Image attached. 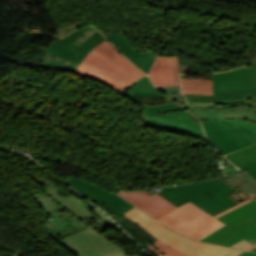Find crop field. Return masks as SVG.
Returning <instances> with one entry per match:
<instances>
[{
	"label": "crop field",
	"mask_w": 256,
	"mask_h": 256,
	"mask_svg": "<svg viewBox=\"0 0 256 256\" xmlns=\"http://www.w3.org/2000/svg\"><path fill=\"white\" fill-rule=\"evenodd\" d=\"M119 195L156 220L193 239L199 240L225 225L190 202L177 208L157 193L151 196L145 191H122Z\"/></svg>",
	"instance_id": "crop-field-1"
},
{
	"label": "crop field",
	"mask_w": 256,
	"mask_h": 256,
	"mask_svg": "<svg viewBox=\"0 0 256 256\" xmlns=\"http://www.w3.org/2000/svg\"><path fill=\"white\" fill-rule=\"evenodd\" d=\"M75 72L94 77L118 91L145 75L107 39L86 56Z\"/></svg>",
	"instance_id": "crop-field-2"
},
{
	"label": "crop field",
	"mask_w": 256,
	"mask_h": 256,
	"mask_svg": "<svg viewBox=\"0 0 256 256\" xmlns=\"http://www.w3.org/2000/svg\"><path fill=\"white\" fill-rule=\"evenodd\" d=\"M231 192L233 189L220 178L157 191L177 207L190 201L213 216L237 204L227 196Z\"/></svg>",
	"instance_id": "crop-field-3"
},
{
	"label": "crop field",
	"mask_w": 256,
	"mask_h": 256,
	"mask_svg": "<svg viewBox=\"0 0 256 256\" xmlns=\"http://www.w3.org/2000/svg\"><path fill=\"white\" fill-rule=\"evenodd\" d=\"M167 245L189 256H236L241 250L191 240L167 228L136 207L123 214Z\"/></svg>",
	"instance_id": "crop-field-4"
},
{
	"label": "crop field",
	"mask_w": 256,
	"mask_h": 256,
	"mask_svg": "<svg viewBox=\"0 0 256 256\" xmlns=\"http://www.w3.org/2000/svg\"><path fill=\"white\" fill-rule=\"evenodd\" d=\"M89 27L76 30L61 41H52L39 66L74 72L85 56L106 39L97 31L80 46L72 45Z\"/></svg>",
	"instance_id": "crop-field-5"
},
{
	"label": "crop field",
	"mask_w": 256,
	"mask_h": 256,
	"mask_svg": "<svg viewBox=\"0 0 256 256\" xmlns=\"http://www.w3.org/2000/svg\"><path fill=\"white\" fill-rule=\"evenodd\" d=\"M58 242L78 256H130L90 227Z\"/></svg>",
	"instance_id": "crop-field-6"
},
{
	"label": "crop field",
	"mask_w": 256,
	"mask_h": 256,
	"mask_svg": "<svg viewBox=\"0 0 256 256\" xmlns=\"http://www.w3.org/2000/svg\"><path fill=\"white\" fill-rule=\"evenodd\" d=\"M187 108L199 119L235 118L245 119L256 123V103H238L230 105H216L211 103H187Z\"/></svg>",
	"instance_id": "crop-field-7"
},
{
	"label": "crop field",
	"mask_w": 256,
	"mask_h": 256,
	"mask_svg": "<svg viewBox=\"0 0 256 256\" xmlns=\"http://www.w3.org/2000/svg\"><path fill=\"white\" fill-rule=\"evenodd\" d=\"M64 181L80 191L87 198L96 202L98 205L103 203L121 216H123V213L134 207L130 205L131 203H127L128 201L126 202L116 194L79 178L71 176ZM123 217L130 220L125 216Z\"/></svg>",
	"instance_id": "crop-field-8"
},
{
	"label": "crop field",
	"mask_w": 256,
	"mask_h": 256,
	"mask_svg": "<svg viewBox=\"0 0 256 256\" xmlns=\"http://www.w3.org/2000/svg\"><path fill=\"white\" fill-rule=\"evenodd\" d=\"M110 40L126 57H130V61L135 64L143 72L148 73L156 55L150 50L146 53H137L124 37L122 32L104 35Z\"/></svg>",
	"instance_id": "crop-field-9"
},
{
	"label": "crop field",
	"mask_w": 256,
	"mask_h": 256,
	"mask_svg": "<svg viewBox=\"0 0 256 256\" xmlns=\"http://www.w3.org/2000/svg\"><path fill=\"white\" fill-rule=\"evenodd\" d=\"M189 101L229 104L237 102H256V88L242 89L230 92L214 93V96L184 94Z\"/></svg>",
	"instance_id": "crop-field-10"
},
{
	"label": "crop field",
	"mask_w": 256,
	"mask_h": 256,
	"mask_svg": "<svg viewBox=\"0 0 256 256\" xmlns=\"http://www.w3.org/2000/svg\"><path fill=\"white\" fill-rule=\"evenodd\" d=\"M214 92L229 91L241 88H248V76L246 67L213 74Z\"/></svg>",
	"instance_id": "crop-field-11"
},
{
	"label": "crop field",
	"mask_w": 256,
	"mask_h": 256,
	"mask_svg": "<svg viewBox=\"0 0 256 256\" xmlns=\"http://www.w3.org/2000/svg\"><path fill=\"white\" fill-rule=\"evenodd\" d=\"M209 141L223 154L241 149V147L213 120L201 121Z\"/></svg>",
	"instance_id": "crop-field-12"
},
{
	"label": "crop field",
	"mask_w": 256,
	"mask_h": 256,
	"mask_svg": "<svg viewBox=\"0 0 256 256\" xmlns=\"http://www.w3.org/2000/svg\"><path fill=\"white\" fill-rule=\"evenodd\" d=\"M149 78L154 84L173 83L171 56H158Z\"/></svg>",
	"instance_id": "crop-field-13"
},
{
	"label": "crop field",
	"mask_w": 256,
	"mask_h": 256,
	"mask_svg": "<svg viewBox=\"0 0 256 256\" xmlns=\"http://www.w3.org/2000/svg\"><path fill=\"white\" fill-rule=\"evenodd\" d=\"M256 225V214L235 224L227 227L225 230L215 234L211 238L207 239L206 242L214 243V244H221L231 238L232 236L253 227Z\"/></svg>",
	"instance_id": "crop-field-14"
},
{
	"label": "crop field",
	"mask_w": 256,
	"mask_h": 256,
	"mask_svg": "<svg viewBox=\"0 0 256 256\" xmlns=\"http://www.w3.org/2000/svg\"><path fill=\"white\" fill-rule=\"evenodd\" d=\"M256 213V201H252L220 218H218V220L224 222L226 225L221 227L220 229L216 230L215 232L209 234L208 236L204 237L203 239H201V241L206 240L207 238L211 237L212 235H214L215 233L219 232L220 230L226 228L227 226L234 224L252 214Z\"/></svg>",
	"instance_id": "crop-field-15"
},
{
	"label": "crop field",
	"mask_w": 256,
	"mask_h": 256,
	"mask_svg": "<svg viewBox=\"0 0 256 256\" xmlns=\"http://www.w3.org/2000/svg\"><path fill=\"white\" fill-rule=\"evenodd\" d=\"M182 93L213 95V80L181 79Z\"/></svg>",
	"instance_id": "crop-field-16"
},
{
	"label": "crop field",
	"mask_w": 256,
	"mask_h": 256,
	"mask_svg": "<svg viewBox=\"0 0 256 256\" xmlns=\"http://www.w3.org/2000/svg\"><path fill=\"white\" fill-rule=\"evenodd\" d=\"M125 93L129 97L133 96L134 94H142L146 96H159L161 95L159 90H157L152 83L149 81L147 76L136 81L131 86L123 89L120 93Z\"/></svg>",
	"instance_id": "crop-field-17"
},
{
	"label": "crop field",
	"mask_w": 256,
	"mask_h": 256,
	"mask_svg": "<svg viewBox=\"0 0 256 256\" xmlns=\"http://www.w3.org/2000/svg\"><path fill=\"white\" fill-rule=\"evenodd\" d=\"M225 156L236 166L252 163L256 161V147L253 145Z\"/></svg>",
	"instance_id": "crop-field-18"
},
{
	"label": "crop field",
	"mask_w": 256,
	"mask_h": 256,
	"mask_svg": "<svg viewBox=\"0 0 256 256\" xmlns=\"http://www.w3.org/2000/svg\"><path fill=\"white\" fill-rule=\"evenodd\" d=\"M142 125L205 139V137L202 133L196 132L194 130L187 129V128H181V127H177V126H173V125H169V124H165V123H161V122H156V121H152V120H148V119H143Z\"/></svg>",
	"instance_id": "crop-field-19"
},
{
	"label": "crop field",
	"mask_w": 256,
	"mask_h": 256,
	"mask_svg": "<svg viewBox=\"0 0 256 256\" xmlns=\"http://www.w3.org/2000/svg\"><path fill=\"white\" fill-rule=\"evenodd\" d=\"M220 127H222L242 148L253 144L247 139L238 129H236L226 119L214 120Z\"/></svg>",
	"instance_id": "crop-field-20"
},
{
	"label": "crop field",
	"mask_w": 256,
	"mask_h": 256,
	"mask_svg": "<svg viewBox=\"0 0 256 256\" xmlns=\"http://www.w3.org/2000/svg\"><path fill=\"white\" fill-rule=\"evenodd\" d=\"M143 109H144V115L156 116V115L164 114L168 111L184 110L185 108L180 105H176L172 102H166L164 104H159L157 106L144 104Z\"/></svg>",
	"instance_id": "crop-field-21"
},
{
	"label": "crop field",
	"mask_w": 256,
	"mask_h": 256,
	"mask_svg": "<svg viewBox=\"0 0 256 256\" xmlns=\"http://www.w3.org/2000/svg\"><path fill=\"white\" fill-rule=\"evenodd\" d=\"M253 143L256 142V124L250 121L227 119Z\"/></svg>",
	"instance_id": "crop-field-22"
},
{
	"label": "crop field",
	"mask_w": 256,
	"mask_h": 256,
	"mask_svg": "<svg viewBox=\"0 0 256 256\" xmlns=\"http://www.w3.org/2000/svg\"><path fill=\"white\" fill-rule=\"evenodd\" d=\"M148 247L154 252L156 256H187L169 246L162 243L161 241H156L153 244L148 245Z\"/></svg>",
	"instance_id": "crop-field-23"
},
{
	"label": "crop field",
	"mask_w": 256,
	"mask_h": 256,
	"mask_svg": "<svg viewBox=\"0 0 256 256\" xmlns=\"http://www.w3.org/2000/svg\"><path fill=\"white\" fill-rule=\"evenodd\" d=\"M158 117H166V118H171L173 120L192 125L198 128H201V125L198 123H195L191 120V117L188 112L185 111H174V112H169L167 114L158 116ZM202 129V128H201Z\"/></svg>",
	"instance_id": "crop-field-24"
},
{
	"label": "crop field",
	"mask_w": 256,
	"mask_h": 256,
	"mask_svg": "<svg viewBox=\"0 0 256 256\" xmlns=\"http://www.w3.org/2000/svg\"><path fill=\"white\" fill-rule=\"evenodd\" d=\"M230 181H232L234 184L237 183H243V182H247L244 187L242 188V190H244L245 192H251V193H256V183H254L252 180L241 176V175H236V176H232L230 178H228Z\"/></svg>",
	"instance_id": "crop-field-25"
},
{
	"label": "crop field",
	"mask_w": 256,
	"mask_h": 256,
	"mask_svg": "<svg viewBox=\"0 0 256 256\" xmlns=\"http://www.w3.org/2000/svg\"><path fill=\"white\" fill-rule=\"evenodd\" d=\"M254 237H256V226L240 233L239 235L229 239L228 241H226L225 243H223L221 245H225V246L230 247L232 244H234V243H236V242H238V241H240L244 238L249 240V239H252Z\"/></svg>",
	"instance_id": "crop-field-26"
},
{
	"label": "crop field",
	"mask_w": 256,
	"mask_h": 256,
	"mask_svg": "<svg viewBox=\"0 0 256 256\" xmlns=\"http://www.w3.org/2000/svg\"><path fill=\"white\" fill-rule=\"evenodd\" d=\"M172 63H173L174 84L156 85V87H159V86L180 85L178 56H172Z\"/></svg>",
	"instance_id": "crop-field-27"
},
{
	"label": "crop field",
	"mask_w": 256,
	"mask_h": 256,
	"mask_svg": "<svg viewBox=\"0 0 256 256\" xmlns=\"http://www.w3.org/2000/svg\"><path fill=\"white\" fill-rule=\"evenodd\" d=\"M249 87H256V66H249Z\"/></svg>",
	"instance_id": "crop-field-28"
},
{
	"label": "crop field",
	"mask_w": 256,
	"mask_h": 256,
	"mask_svg": "<svg viewBox=\"0 0 256 256\" xmlns=\"http://www.w3.org/2000/svg\"><path fill=\"white\" fill-rule=\"evenodd\" d=\"M251 246H253V245L244 239V240L232 245L231 247L246 250Z\"/></svg>",
	"instance_id": "crop-field-29"
},
{
	"label": "crop field",
	"mask_w": 256,
	"mask_h": 256,
	"mask_svg": "<svg viewBox=\"0 0 256 256\" xmlns=\"http://www.w3.org/2000/svg\"><path fill=\"white\" fill-rule=\"evenodd\" d=\"M251 200L252 199L245 200V201L239 203L238 205H236V206H234V207H232V208H230V209H228V210H226V211H224V212H222V213H220V214H218V215H216L214 217L217 218V217H219V216H221V215H223V214H225V213H227V212H229V211H231V210H233V209H235V208H237V207H239V206H241V205H243V204H245V203H247V202H249Z\"/></svg>",
	"instance_id": "crop-field-30"
},
{
	"label": "crop field",
	"mask_w": 256,
	"mask_h": 256,
	"mask_svg": "<svg viewBox=\"0 0 256 256\" xmlns=\"http://www.w3.org/2000/svg\"><path fill=\"white\" fill-rule=\"evenodd\" d=\"M239 168L243 171L245 170H249V169H254L256 168V163H252V164H247V165H243V166H239Z\"/></svg>",
	"instance_id": "crop-field-31"
},
{
	"label": "crop field",
	"mask_w": 256,
	"mask_h": 256,
	"mask_svg": "<svg viewBox=\"0 0 256 256\" xmlns=\"http://www.w3.org/2000/svg\"><path fill=\"white\" fill-rule=\"evenodd\" d=\"M246 173L256 180V169L255 170L246 171Z\"/></svg>",
	"instance_id": "crop-field-32"
},
{
	"label": "crop field",
	"mask_w": 256,
	"mask_h": 256,
	"mask_svg": "<svg viewBox=\"0 0 256 256\" xmlns=\"http://www.w3.org/2000/svg\"><path fill=\"white\" fill-rule=\"evenodd\" d=\"M239 256H256V253L244 252V253L240 254Z\"/></svg>",
	"instance_id": "crop-field-33"
},
{
	"label": "crop field",
	"mask_w": 256,
	"mask_h": 256,
	"mask_svg": "<svg viewBox=\"0 0 256 256\" xmlns=\"http://www.w3.org/2000/svg\"><path fill=\"white\" fill-rule=\"evenodd\" d=\"M256 247V244H254L253 247H251L250 249H248V251H250L251 249L255 248Z\"/></svg>",
	"instance_id": "crop-field-34"
},
{
	"label": "crop field",
	"mask_w": 256,
	"mask_h": 256,
	"mask_svg": "<svg viewBox=\"0 0 256 256\" xmlns=\"http://www.w3.org/2000/svg\"><path fill=\"white\" fill-rule=\"evenodd\" d=\"M252 252H256V248L255 249H253V250H251Z\"/></svg>",
	"instance_id": "crop-field-35"
},
{
	"label": "crop field",
	"mask_w": 256,
	"mask_h": 256,
	"mask_svg": "<svg viewBox=\"0 0 256 256\" xmlns=\"http://www.w3.org/2000/svg\"><path fill=\"white\" fill-rule=\"evenodd\" d=\"M255 112H256V109L252 108Z\"/></svg>",
	"instance_id": "crop-field-36"
},
{
	"label": "crop field",
	"mask_w": 256,
	"mask_h": 256,
	"mask_svg": "<svg viewBox=\"0 0 256 256\" xmlns=\"http://www.w3.org/2000/svg\"><path fill=\"white\" fill-rule=\"evenodd\" d=\"M255 146H256V143H255Z\"/></svg>",
	"instance_id": "crop-field-37"
}]
</instances>
